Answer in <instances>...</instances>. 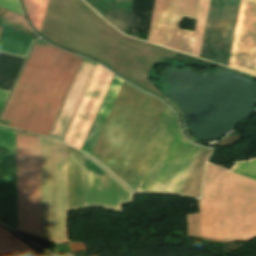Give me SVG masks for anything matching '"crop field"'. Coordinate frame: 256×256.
Segmentation results:
<instances>
[{
  "label": "crop field",
  "mask_w": 256,
  "mask_h": 256,
  "mask_svg": "<svg viewBox=\"0 0 256 256\" xmlns=\"http://www.w3.org/2000/svg\"><path fill=\"white\" fill-rule=\"evenodd\" d=\"M164 105L158 98L124 82L90 156L127 182ZM165 107L172 112L182 138L197 146L183 136L176 114L167 104ZM166 108L128 180L138 190H150L178 134L175 120ZM180 135L178 134L152 191L179 192L200 148L202 150L180 193H151L199 198L205 161L213 149L194 147ZM129 183L127 185L136 192H148L138 191Z\"/></svg>",
  "instance_id": "obj_1"
},
{
  "label": "crop field",
  "mask_w": 256,
  "mask_h": 256,
  "mask_svg": "<svg viewBox=\"0 0 256 256\" xmlns=\"http://www.w3.org/2000/svg\"><path fill=\"white\" fill-rule=\"evenodd\" d=\"M82 59L37 42L1 118L47 136Z\"/></svg>",
  "instance_id": "obj_2"
},
{
  "label": "crop field",
  "mask_w": 256,
  "mask_h": 256,
  "mask_svg": "<svg viewBox=\"0 0 256 256\" xmlns=\"http://www.w3.org/2000/svg\"><path fill=\"white\" fill-rule=\"evenodd\" d=\"M196 201L199 213L186 214L189 234L223 240L256 235V181L207 164L202 198Z\"/></svg>",
  "instance_id": "obj_3"
},
{
  "label": "crop field",
  "mask_w": 256,
  "mask_h": 256,
  "mask_svg": "<svg viewBox=\"0 0 256 256\" xmlns=\"http://www.w3.org/2000/svg\"><path fill=\"white\" fill-rule=\"evenodd\" d=\"M17 231L40 237L38 137L16 131Z\"/></svg>",
  "instance_id": "obj_4"
},
{
  "label": "crop field",
  "mask_w": 256,
  "mask_h": 256,
  "mask_svg": "<svg viewBox=\"0 0 256 256\" xmlns=\"http://www.w3.org/2000/svg\"><path fill=\"white\" fill-rule=\"evenodd\" d=\"M199 0H155L148 41L190 52L193 32L180 30L184 16L196 18Z\"/></svg>",
  "instance_id": "obj_5"
},
{
  "label": "crop field",
  "mask_w": 256,
  "mask_h": 256,
  "mask_svg": "<svg viewBox=\"0 0 256 256\" xmlns=\"http://www.w3.org/2000/svg\"><path fill=\"white\" fill-rule=\"evenodd\" d=\"M113 76L97 65L63 142L80 149Z\"/></svg>",
  "instance_id": "obj_6"
},
{
  "label": "crop field",
  "mask_w": 256,
  "mask_h": 256,
  "mask_svg": "<svg viewBox=\"0 0 256 256\" xmlns=\"http://www.w3.org/2000/svg\"><path fill=\"white\" fill-rule=\"evenodd\" d=\"M229 66L256 75L255 0H241Z\"/></svg>",
  "instance_id": "obj_7"
},
{
  "label": "crop field",
  "mask_w": 256,
  "mask_h": 256,
  "mask_svg": "<svg viewBox=\"0 0 256 256\" xmlns=\"http://www.w3.org/2000/svg\"><path fill=\"white\" fill-rule=\"evenodd\" d=\"M0 221L16 229L15 131L1 127Z\"/></svg>",
  "instance_id": "obj_8"
},
{
  "label": "crop field",
  "mask_w": 256,
  "mask_h": 256,
  "mask_svg": "<svg viewBox=\"0 0 256 256\" xmlns=\"http://www.w3.org/2000/svg\"><path fill=\"white\" fill-rule=\"evenodd\" d=\"M123 82L124 80L114 76L98 110V113L92 123V126L86 136V139L80 149L81 151L90 154Z\"/></svg>",
  "instance_id": "obj_9"
},
{
  "label": "crop field",
  "mask_w": 256,
  "mask_h": 256,
  "mask_svg": "<svg viewBox=\"0 0 256 256\" xmlns=\"http://www.w3.org/2000/svg\"><path fill=\"white\" fill-rule=\"evenodd\" d=\"M83 207L82 154L68 148V210Z\"/></svg>",
  "instance_id": "obj_10"
},
{
  "label": "crop field",
  "mask_w": 256,
  "mask_h": 256,
  "mask_svg": "<svg viewBox=\"0 0 256 256\" xmlns=\"http://www.w3.org/2000/svg\"><path fill=\"white\" fill-rule=\"evenodd\" d=\"M32 38L2 29L0 33V51L24 56Z\"/></svg>",
  "instance_id": "obj_11"
},
{
  "label": "crop field",
  "mask_w": 256,
  "mask_h": 256,
  "mask_svg": "<svg viewBox=\"0 0 256 256\" xmlns=\"http://www.w3.org/2000/svg\"><path fill=\"white\" fill-rule=\"evenodd\" d=\"M13 253H18L20 256H44L0 227V255Z\"/></svg>",
  "instance_id": "obj_12"
},
{
  "label": "crop field",
  "mask_w": 256,
  "mask_h": 256,
  "mask_svg": "<svg viewBox=\"0 0 256 256\" xmlns=\"http://www.w3.org/2000/svg\"><path fill=\"white\" fill-rule=\"evenodd\" d=\"M209 1L210 0H200L199 9H198V15H197V20L195 25L191 52H190L191 55H195L198 57L200 55V49H201V44L203 39Z\"/></svg>",
  "instance_id": "obj_13"
},
{
  "label": "crop field",
  "mask_w": 256,
  "mask_h": 256,
  "mask_svg": "<svg viewBox=\"0 0 256 256\" xmlns=\"http://www.w3.org/2000/svg\"><path fill=\"white\" fill-rule=\"evenodd\" d=\"M33 26L40 31L48 0H23Z\"/></svg>",
  "instance_id": "obj_14"
},
{
  "label": "crop field",
  "mask_w": 256,
  "mask_h": 256,
  "mask_svg": "<svg viewBox=\"0 0 256 256\" xmlns=\"http://www.w3.org/2000/svg\"><path fill=\"white\" fill-rule=\"evenodd\" d=\"M4 19L3 27L38 38V36L28 27L23 17L7 10Z\"/></svg>",
  "instance_id": "obj_15"
},
{
  "label": "crop field",
  "mask_w": 256,
  "mask_h": 256,
  "mask_svg": "<svg viewBox=\"0 0 256 256\" xmlns=\"http://www.w3.org/2000/svg\"><path fill=\"white\" fill-rule=\"evenodd\" d=\"M231 171L256 180V158H251L241 162H235Z\"/></svg>",
  "instance_id": "obj_16"
},
{
  "label": "crop field",
  "mask_w": 256,
  "mask_h": 256,
  "mask_svg": "<svg viewBox=\"0 0 256 256\" xmlns=\"http://www.w3.org/2000/svg\"><path fill=\"white\" fill-rule=\"evenodd\" d=\"M0 6L21 13L17 0H0Z\"/></svg>",
  "instance_id": "obj_17"
},
{
  "label": "crop field",
  "mask_w": 256,
  "mask_h": 256,
  "mask_svg": "<svg viewBox=\"0 0 256 256\" xmlns=\"http://www.w3.org/2000/svg\"><path fill=\"white\" fill-rule=\"evenodd\" d=\"M71 251H87L82 242L70 243Z\"/></svg>",
  "instance_id": "obj_18"
},
{
  "label": "crop field",
  "mask_w": 256,
  "mask_h": 256,
  "mask_svg": "<svg viewBox=\"0 0 256 256\" xmlns=\"http://www.w3.org/2000/svg\"><path fill=\"white\" fill-rule=\"evenodd\" d=\"M8 93H9L8 91H4V90L0 89V111L2 109V106H3L4 102H5V99H6L7 95H8Z\"/></svg>",
  "instance_id": "obj_19"
},
{
  "label": "crop field",
  "mask_w": 256,
  "mask_h": 256,
  "mask_svg": "<svg viewBox=\"0 0 256 256\" xmlns=\"http://www.w3.org/2000/svg\"><path fill=\"white\" fill-rule=\"evenodd\" d=\"M1 29H2V28L0 27V31H1Z\"/></svg>",
  "instance_id": "obj_20"
}]
</instances>
